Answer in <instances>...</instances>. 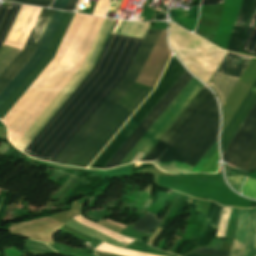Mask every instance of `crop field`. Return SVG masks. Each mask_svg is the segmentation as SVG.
<instances>
[{
    "label": "crop field",
    "instance_id": "19",
    "mask_svg": "<svg viewBox=\"0 0 256 256\" xmlns=\"http://www.w3.org/2000/svg\"><path fill=\"white\" fill-rule=\"evenodd\" d=\"M242 50L249 54L256 55V6L246 33Z\"/></svg>",
    "mask_w": 256,
    "mask_h": 256
},
{
    "label": "crop field",
    "instance_id": "21",
    "mask_svg": "<svg viewBox=\"0 0 256 256\" xmlns=\"http://www.w3.org/2000/svg\"><path fill=\"white\" fill-rule=\"evenodd\" d=\"M20 51V49L4 45L0 47V75L13 61V59L19 54Z\"/></svg>",
    "mask_w": 256,
    "mask_h": 256
},
{
    "label": "crop field",
    "instance_id": "10",
    "mask_svg": "<svg viewBox=\"0 0 256 256\" xmlns=\"http://www.w3.org/2000/svg\"><path fill=\"white\" fill-rule=\"evenodd\" d=\"M250 60V57L229 53L227 58L224 60V62L221 64L216 72L237 82ZM216 72L209 85L218 96L222 105L236 82Z\"/></svg>",
    "mask_w": 256,
    "mask_h": 256
},
{
    "label": "crop field",
    "instance_id": "1",
    "mask_svg": "<svg viewBox=\"0 0 256 256\" xmlns=\"http://www.w3.org/2000/svg\"><path fill=\"white\" fill-rule=\"evenodd\" d=\"M149 22L122 21L116 34L143 39ZM111 34L94 69L24 151L52 162L123 78L142 40Z\"/></svg>",
    "mask_w": 256,
    "mask_h": 256
},
{
    "label": "crop field",
    "instance_id": "22",
    "mask_svg": "<svg viewBox=\"0 0 256 256\" xmlns=\"http://www.w3.org/2000/svg\"><path fill=\"white\" fill-rule=\"evenodd\" d=\"M198 9L199 6L191 7L187 12L170 10V17L197 20Z\"/></svg>",
    "mask_w": 256,
    "mask_h": 256
},
{
    "label": "crop field",
    "instance_id": "11",
    "mask_svg": "<svg viewBox=\"0 0 256 256\" xmlns=\"http://www.w3.org/2000/svg\"><path fill=\"white\" fill-rule=\"evenodd\" d=\"M211 95L204 87L142 161L154 163Z\"/></svg>",
    "mask_w": 256,
    "mask_h": 256
},
{
    "label": "crop field",
    "instance_id": "5",
    "mask_svg": "<svg viewBox=\"0 0 256 256\" xmlns=\"http://www.w3.org/2000/svg\"><path fill=\"white\" fill-rule=\"evenodd\" d=\"M152 89L134 83L66 165L88 166Z\"/></svg>",
    "mask_w": 256,
    "mask_h": 256
},
{
    "label": "crop field",
    "instance_id": "26",
    "mask_svg": "<svg viewBox=\"0 0 256 256\" xmlns=\"http://www.w3.org/2000/svg\"><path fill=\"white\" fill-rule=\"evenodd\" d=\"M6 1L35 5V6L50 7L53 0H6Z\"/></svg>",
    "mask_w": 256,
    "mask_h": 256
},
{
    "label": "crop field",
    "instance_id": "27",
    "mask_svg": "<svg viewBox=\"0 0 256 256\" xmlns=\"http://www.w3.org/2000/svg\"><path fill=\"white\" fill-rule=\"evenodd\" d=\"M229 184L237 191H239V187L244 181L245 175H237V176H227Z\"/></svg>",
    "mask_w": 256,
    "mask_h": 256
},
{
    "label": "crop field",
    "instance_id": "18",
    "mask_svg": "<svg viewBox=\"0 0 256 256\" xmlns=\"http://www.w3.org/2000/svg\"><path fill=\"white\" fill-rule=\"evenodd\" d=\"M236 167L245 170L247 173L253 172L256 168V134L239 159Z\"/></svg>",
    "mask_w": 256,
    "mask_h": 256
},
{
    "label": "crop field",
    "instance_id": "2",
    "mask_svg": "<svg viewBox=\"0 0 256 256\" xmlns=\"http://www.w3.org/2000/svg\"><path fill=\"white\" fill-rule=\"evenodd\" d=\"M218 124L217 103L212 95L157 162L183 163L193 168L216 140Z\"/></svg>",
    "mask_w": 256,
    "mask_h": 256
},
{
    "label": "crop field",
    "instance_id": "20",
    "mask_svg": "<svg viewBox=\"0 0 256 256\" xmlns=\"http://www.w3.org/2000/svg\"><path fill=\"white\" fill-rule=\"evenodd\" d=\"M160 220L157 219V216L151 213L146 212L142 219L133 227L140 232L150 234V232L157 227Z\"/></svg>",
    "mask_w": 256,
    "mask_h": 256
},
{
    "label": "crop field",
    "instance_id": "9",
    "mask_svg": "<svg viewBox=\"0 0 256 256\" xmlns=\"http://www.w3.org/2000/svg\"><path fill=\"white\" fill-rule=\"evenodd\" d=\"M191 77L192 76L189 75L186 70L183 72V74L178 78V80L173 84V86L168 90V92L162 97V99L157 103V105L152 109V111L147 115V117L141 122V124L136 128V130L131 134V136L126 140V142L120 147V149L115 153V155L110 159V161L105 165L103 169L115 167L119 164V162L130 151V149L135 145V143L146 132V130L157 119V117L168 106V104L173 100V98L178 94V92L184 87V85L189 81Z\"/></svg>",
    "mask_w": 256,
    "mask_h": 256
},
{
    "label": "crop field",
    "instance_id": "31",
    "mask_svg": "<svg viewBox=\"0 0 256 256\" xmlns=\"http://www.w3.org/2000/svg\"><path fill=\"white\" fill-rule=\"evenodd\" d=\"M67 1L68 0H55L51 8L63 10Z\"/></svg>",
    "mask_w": 256,
    "mask_h": 256
},
{
    "label": "crop field",
    "instance_id": "15",
    "mask_svg": "<svg viewBox=\"0 0 256 256\" xmlns=\"http://www.w3.org/2000/svg\"><path fill=\"white\" fill-rule=\"evenodd\" d=\"M256 99V81L252 88L247 93L246 97L242 101L241 105L239 106L238 110L234 114L233 118L227 125L226 129L221 135V150L222 152L232 139L233 135L235 134L236 130L240 126L241 122L243 121L244 117L246 116L247 112L251 108L252 104Z\"/></svg>",
    "mask_w": 256,
    "mask_h": 256
},
{
    "label": "crop field",
    "instance_id": "4",
    "mask_svg": "<svg viewBox=\"0 0 256 256\" xmlns=\"http://www.w3.org/2000/svg\"><path fill=\"white\" fill-rule=\"evenodd\" d=\"M162 30H148L124 78L53 161L65 165L104 117L135 82Z\"/></svg>",
    "mask_w": 256,
    "mask_h": 256
},
{
    "label": "crop field",
    "instance_id": "34",
    "mask_svg": "<svg viewBox=\"0 0 256 256\" xmlns=\"http://www.w3.org/2000/svg\"><path fill=\"white\" fill-rule=\"evenodd\" d=\"M223 0H203L201 4H215V3H222Z\"/></svg>",
    "mask_w": 256,
    "mask_h": 256
},
{
    "label": "crop field",
    "instance_id": "17",
    "mask_svg": "<svg viewBox=\"0 0 256 256\" xmlns=\"http://www.w3.org/2000/svg\"><path fill=\"white\" fill-rule=\"evenodd\" d=\"M21 5L9 4L8 7L0 6V46L2 45L11 24Z\"/></svg>",
    "mask_w": 256,
    "mask_h": 256
},
{
    "label": "crop field",
    "instance_id": "28",
    "mask_svg": "<svg viewBox=\"0 0 256 256\" xmlns=\"http://www.w3.org/2000/svg\"><path fill=\"white\" fill-rule=\"evenodd\" d=\"M193 253L203 254V255H211V256H228V252L202 249V248H199V249L193 251Z\"/></svg>",
    "mask_w": 256,
    "mask_h": 256
},
{
    "label": "crop field",
    "instance_id": "36",
    "mask_svg": "<svg viewBox=\"0 0 256 256\" xmlns=\"http://www.w3.org/2000/svg\"><path fill=\"white\" fill-rule=\"evenodd\" d=\"M97 256H118V255H114V254H109V253H103V252H97L95 251Z\"/></svg>",
    "mask_w": 256,
    "mask_h": 256
},
{
    "label": "crop field",
    "instance_id": "6",
    "mask_svg": "<svg viewBox=\"0 0 256 256\" xmlns=\"http://www.w3.org/2000/svg\"><path fill=\"white\" fill-rule=\"evenodd\" d=\"M114 22L115 20L113 19L105 20L83 66L74 75V77L69 81V83L64 87V89L59 93V95L54 99V101L43 112V114L38 118V120L33 124V126L28 130V132L23 136V138L18 142V144L15 147L23 151L25 147L30 143V141L35 137V135L46 124V122L51 118V116L56 112V110L62 105V103L72 93V91L78 86V84L88 74Z\"/></svg>",
    "mask_w": 256,
    "mask_h": 256
},
{
    "label": "crop field",
    "instance_id": "8",
    "mask_svg": "<svg viewBox=\"0 0 256 256\" xmlns=\"http://www.w3.org/2000/svg\"><path fill=\"white\" fill-rule=\"evenodd\" d=\"M202 86L192 77L119 165L128 164L141 147L149 150Z\"/></svg>",
    "mask_w": 256,
    "mask_h": 256
},
{
    "label": "crop field",
    "instance_id": "13",
    "mask_svg": "<svg viewBox=\"0 0 256 256\" xmlns=\"http://www.w3.org/2000/svg\"><path fill=\"white\" fill-rule=\"evenodd\" d=\"M256 132V103L223 153V159L235 166Z\"/></svg>",
    "mask_w": 256,
    "mask_h": 256
},
{
    "label": "crop field",
    "instance_id": "37",
    "mask_svg": "<svg viewBox=\"0 0 256 256\" xmlns=\"http://www.w3.org/2000/svg\"><path fill=\"white\" fill-rule=\"evenodd\" d=\"M187 256H202V255L189 254Z\"/></svg>",
    "mask_w": 256,
    "mask_h": 256
},
{
    "label": "crop field",
    "instance_id": "35",
    "mask_svg": "<svg viewBox=\"0 0 256 256\" xmlns=\"http://www.w3.org/2000/svg\"><path fill=\"white\" fill-rule=\"evenodd\" d=\"M213 206H214V203L212 202L211 203V206H210V209H209V212H208V215H207V219L206 220H210L211 218V214H212V211H213Z\"/></svg>",
    "mask_w": 256,
    "mask_h": 256
},
{
    "label": "crop field",
    "instance_id": "16",
    "mask_svg": "<svg viewBox=\"0 0 256 256\" xmlns=\"http://www.w3.org/2000/svg\"><path fill=\"white\" fill-rule=\"evenodd\" d=\"M255 1L243 0L226 49L239 51Z\"/></svg>",
    "mask_w": 256,
    "mask_h": 256
},
{
    "label": "crop field",
    "instance_id": "7",
    "mask_svg": "<svg viewBox=\"0 0 256 256\" xmlns=\"http://www.w3.org/2000/svg\"><path fill=\"white\" fill-rule=\"evenodd\" d=\"M185 69L173 56L158 88L124 127V129L118 134L98 160L93 164L91 168L102 169L119 147L125 142L140 122L146 117L161 97L167 92L177 78L182 74Z\"/></svg>",
    "mask_w": 256,
    "mask_h": 256
},
{
    "label": "crop field",
    "instance_id": "30",
    "mask_svg": "<svg viewBox=\"0 0 256 256\" xmlns=\"http://www.w3.org/2000/svg\"><path fill=\"white\" fill-rule=\"evenodd\" d=\"M243 250H244V246L237 243L236 241H233L229 256H243Z\"/></svg>",
    "mask_w": 256,
    "mask_h": 256
},
{
    "label": "crop field",
    "instance_id": "38",
    "mask_svg": "<svg viewBox=\"0 0 256 256\" xmlns=\"http://www.w3.org/2000/svg\"><path fill=\"white\" fill-rule=\"evenodd\" d=\"M197 199H193L192 203L196 204L197 203Z\"/></svg>",
    "mask_w": 256,
    "mask_h": 256
},
{
    "label": "crop field",
    "instance_id": "3",
    "mask_svg": "<svg viewBox=\"0 0 256 256\" xmlns=\"http://www.w3.org/2000/svg\"><path fill=\"white\" fill-rule=\"evenodd\" d=\"M53 12L42 9L23 50L0 76V92L33 54ZM64 13L55 10L34 54L0 93V107L44 57Z\"/></svg>",
    "mask_w": 256,
    "mask_h": 256
},
{
    "label": "crop field",
    "instance_id": "32",
    "mask_svg": "<svg viewBox=\"0 0 256 256\" xmlns=\"http://www.w3.org/2000/svg\"><path fill=\"white\" fill-rule=\"evenodd\" d=\"M78 0H70L65 8V10L73 11L74 6Z\"/></svg>",
    "mask_w": 256,
    "mask_h": 256
},
{
    "label": "crop field",
    "instance_id": "12",
    "mask_svg": "<svg viewBox=\"0 0 256 256\" xmlns=\"http://www.w3.org/2000/svg\"><path fill=\"white\" fill-rule=\"evenodd\" d=\"M74 14L75 13H70V12L66 13L43 60L38 64V66L33 70V72L28 76V78L23 82V84L18 88V90L13 94V96L8 100V102L0 110L1 119L4 117V115L10 110V108L15 104V102L21 97V95L27 90V88L33 83V81L39 76V74L53 59Z\"/></svg>",
    "mask_w": 256,
    "mask_h": 256
},
{
    "label": "crop field",
    "instance_id": "29",
    "mask_svg": "<svg viewBox=\"0 0 256 256\" xmlns=\"http://www.w3.org/2000/svg\"><path fill=\"white\" fill-rule=\"evenodd\" d=\"M222 208L221 206L215 204V208L213 211V215L211 218V222H210V226L217 228L218 227V223H219V219H220V215L222 212Z\"/></svg>",
    "mask_w": 256,
    "mask_h": 256
},
{
    "label": "crop field",
    "instance_id": "25",
    "mask_svg": "<svg viewBox=\"0 0 256 256\" xmlns=\"http://www.w3.org/2000/svg\"><path fill=\"white\" fill-rule=\"evenodd\" d=\"M216 150H217V141L210 148V150L204 155V157L198 162V164L193 168L191 172H199L200 169L205 165V163L210 159V157L214 154Z\"/></svg>",
    "mask_w": 256,
    "mask_h": 256
},
{
    "label": "crop field",
    "instance_id": "33",
    "mask_svg": "<svg viewBox=\"0 0 256 256\" xmlns=\"http://www.w3.org/2000/svg\"><path fill=\"white\" fill-rule=\"evenodd\" d=\"M225 167H226V172H227V174H239V173H243V172H241V171H239V170H237V169L230 168V167H228V166H226V165H225Z\"/></svg>",
    "mask_w": 256,
    "mask_h": 256
},
{
    "label": "crop field",
    "instance_id": "24",
    "mask_svg": "<svg viewBox=\"0 0 256 256\" xmlns=\"http://www.w3.org/2000/svg\"><path fill=\"white\" fill-rule=\"evenodd\" d=\"M243 195L256 198V181L247 178L246 183L243 186Z\"/></svg>",
    "mask_w": 256,
    "mask_h": 256
},
{
    "label": "crop field",
    "instance_id": "23",
    "mask_svg": "<svg viewBox=\"0 0 256 256\" xmlns=\"http://www.w3.org/2000/svg\"><path fill=\"white\" fill-rule=\"evenodd\" d=\"M230 209L231 208H227V207L223 208V212H222V215H221V219H220V223H219V227H218L216 237L224 238Z\"/></svg>",
    "mask_w": 256,
    "mask_h": 256
},
{
    "label": "crop field",
    "instance_id": "14",
    "mask_svg": "<svg viewBox=\"0 0 256 256\" xmlns=\"http://www.w3.org/2000/svg\"><path fill=\"white\" fill-rule=\"evenodd\" d=\"M234 240L245 246L244 256H256V210L239 208Z\"/></svg>",
    "mask_w": 256,
    "mask_h": 256
}]
</instances>
